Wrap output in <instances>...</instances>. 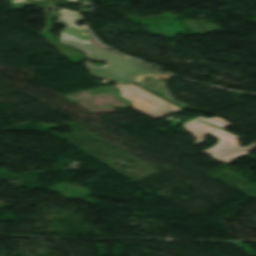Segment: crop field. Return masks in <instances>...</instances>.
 <instances>
[{
  "instance_id": "crop-field-1",
  "label": "crop field",
  "mask_w": 256,
  "mask_h": 256,
  "mask_svg": "<svg viewBox=\"0 0 256 256\" xmlns=\"http://www.w3.org/2000/svg\"><path fill=\"white\" fill-rule=\"evenodd\" d=\"M58 12L63 15L56 18H60L59 22L66 26L61 33L60 41L87 52V56L89 57L108 62V65L102 66L101 68L87 63L93 75L121 83H127L140 81L144 75H155L159 73V70L149 65L88 44V36L81 31L85 26H74L77 20L82 19V16L74 11L66 9L59 10Z\"/></svg>"
},
{
  "instance_id": "crop-field-3",
  "label": "crop field",
  "mask_w": 256,
  "mask_h": 256,
  "mask_svg": "<svg viewBox=\"0 0 256 256\" xmlns=\"http://www.w3.org/2000/svg\"><path fill=\"white\" fill-rule=\"evenodd\" d=\"M116 87L120 89L121 97L132 102V108L155 120L182 110L134 84L119 85Z\"/></svg>"
},
{
  "instance_id": "crop-field-4",
  "label": "crop field",
  "mask_w": 256,
  "mask_h": 256,
  "mask_svg": "<svg viewBox=\"0 0 256 256\" xmlns=\"http://www.w3.org/2000/svg\"><path fill=\"white\" fill-rule=\"evenodd\" d=\"M197 119L202 120L204 122H207L209 124L215 125L217 127H220L222 129H225V128L231 126L229 123L225 122L224 120H222L218 117H214V118H211V119H204V118L199 116Z\"/></svg>"
},
{
  "instance_id": "crop-field-2",
  "label": "crop field",
  "mask_w": 256,
  "mask_h": 256,
  "mask_svg": "<svg viewBox=\"0 0 256 256\" xmlns=\"http://www.w3.org/2000/svg\"><path fill=\"white\" fill-rule=\"evenodd\" d=\"M183 127L185 131L191 133L196 138V144L204 141L203 135L206 133L219 138L217 145L204 152L224 164H227L256 149V142L246 147H242L236 143L239 138L238 136L196 119L183 124Z\"/></svg>"
}]
</instances>
